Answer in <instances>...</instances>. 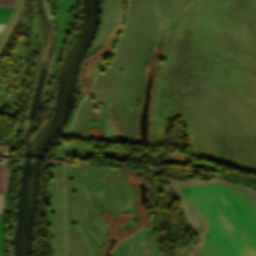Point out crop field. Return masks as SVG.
I'll list each match as a JSON object with an SVG mask.
<instances>
[{
  "mask_svg": "<svg viewBox=\"0 0 256 256\" xmlns=\"http://www.w3.org/2000/svg\"><path fill=\"white\" fill-rule=\"evenodd\" d=\"M7 250L4 241V230L2 224V213H0V256H6Z\"/></svg>",
  "mask_w": 256,
  "mask_h": 256,
  "instance_id": "1",
  "label": "crop field"
},
{
  "mask_svg": "<svg viewBox=\"0 0 256 256\" xmlns=\"http://www.w3.org/2000/svg\"><path fill=\"white\" fill-rule=\"evenodd\" d=\"M7 164L0 165V194H3V189L6 179Z\"/></svg>",
  "mask_w": 256,
  "mask_h": 256,
  "instance_id": "2",
  "label": "crop field"
},
{
  "mask_svg": "<svg viewBox=\"0 0 256 256\" xmlns=\"http://www.w3.org/2000/svg\"><path fill=\"white\" fill-rule=\"evenodd\" d=\"M12 9L0 8V23H6Z\"/></svg>",
  "mask_w": 256,
  "mask_h": 256,
  "instance_id": "3",
  "label": "crop field"
},
{
  "mask_svg": "<svg viewBox=\"0 0 256 256\" xmlns=\"http://www.w3.org/2000/svg\"><path fill=\"white\" fill-rule=\"evenodd\" d=\"M0 3L14 4L15 0H0Z\"/></svg>",
  "mask_w": 256,
  "mask_h": 256,
  "instance_id": "4",
  "label": "crop field"
},
{
  "mask_svg": "<svg viewBox=\"0 0 256 256\" xmlns=\"http://www.w3.org/2000/svg\"><path fill=\"white\" fill-rule=\"evenodd\" d=\"M0 212H2V195H0Z\"/></svg>",
  "mask_w": 256,
  "mask_h": 256,
  "instance_id": "5",
  "label": "crop field"
},
{
  "mask_svg": "<svg viewBox=\"0 0 256 256\" xmlns=\"http://www.w3.org/2000/svg\"><path fill=\"white\" fill-rule=\"evenodd\" d=\"M3 26H4V24H0V32H1L2 28H3Z\"/></svg>",
  "mask_w": 256,
  "mask_h": 256,
  "instance_id": "6",
  "label": "crop field"
}]
</instances>
